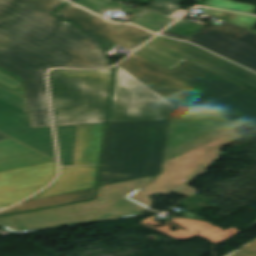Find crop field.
<instances>
[{
    "instance_id": "crop-field-19",
    "label": "crop field",
    "mask_w": 256,
    "mask_h": 256,
    "mask_svg": "<svg viewBox=\"0 0 256 256\" xmlns=\"http://www.w3.org/2000/svg\"><path fill=\"white\" fill-rule=\"evenodd\" d=\"M61 166L74 165L79 125L55 126Z\"/></svg>"
},
{
    "instance_id": "crop-field-18",
    "label": "crop field",
    "mask_w": 256,
    "mask_h": 256,
    "mask_svg": "<svg viewBox=\"0 0 256 256\" xmlns=\"http://www.w3.org/2000/svg\"><path fill=\"white\" fill-rule=\"evenodd\" d=\"M95 189L96 188L79 191V192L63 194V195H58V196H53V197H48V198H43V199L27 201V202H24V203L16 206V207H12L8 210L1 211L0 216L17 213V212H22V211H27V210H32V209H37V208L58 205V204L88 200V199L93 198Z\"/></svg>"
},
{
    "instance_id": "crop-field-27",
    "label": "crop field",
    "mask_w": 256,
    "mask_h": 256,
    "mask_svg": "<svg viewBox=\"0 0 256 256\" xmlns=\"http://www.w3.org/2000/svg\"><path fill=\"white\" fill-rule=\"evenodd\" d=\"M226 256H256V240L249 242L244 247L233 251Z\"/></svg>"
},
{
    "instance_id": "crop-field-5",
    "label": "crop field",
    "mask_w": 256,
    "mask_h": 256,
    "mask_svg": "<svg viewBox=\"0 0 256 256\" xmlns=\"http://www.w3.org/2000/svg\"><path fill=\"white\" fill-rule=\"evenodd\" d=\"M154 176L98 188L94 201L58 206L0 217V226L22 232L82 222L125 217L148 207L128 198L151 182Z\"/></svg>"
},
{
    "instance_id": "crop-field-12",
    "label": "crop field",
    "mask_w": 256,
    "mask_h": 256,
    "mask_svg": "<svg viewBox=\"0 0 256 256\" xmlns=\"http://www.w3.org/2000/svg\"><path fill=\"white\" fill-rule=\"evenodd\" d=\"M57 173L56 161L0 172V208L10 206L45 187Z\"/></svg>"
},
{
    "instance_id": "crop-field-26",
    "label": "crop field",
    "mask_w": 256,
    "mask_h": 256,
    "mask_svg": "<svg viewBox=\"0 0 256 256\" xmlns=\"http://www.w3.org/2000/svg\"><path fill=\"white\" fill-rule=\"evenodd\" d=\"M63 23H64L67 40L92 38L80 31H78V29H79L78 27H75V26L68 24L64 21H63Z\"/></svg>"
},
{
    "instance_id": "crop-field-4",
    "label": "crop field",
    "mask_w": 256,
    "mask_h": 256,
    "mask_svg": "<svg viewBox=\"0 0 256 256\" xmlns=\"http://www.w3.org/2000/svg\"><path fill=\"white\" fill-rule=\"evenodd\" d=\"M168 124H109L98 187L161 173Z\"/></svg>"
},
{
    "instance_id": "crop-field-2",
    "label": "crop field",
    "mask_w": 256,
    "mask_h": 256,
    "mask_svg": "<svg viewBox=\"0 0 256 256\" xmlns=\"http://www.w3.org/2000/svg\"><path fill=\"white\" fill-rule=\"evenodd\" d=\"M242 128L203 107L179 108L170 121L162 175L130 198L150 207L153 201L147 197L155 193L168 195L183 186L174 193L197 194L184 186L207 171L222 154L221 147L241 139L235 132Z\"/></svg>"
},
{
    "instance_id": "crop-field-21",
    "label": "crop field",
    "mask_w": 256,
    "mask_h": 256,
    "mask_svg": "<svg viewBox=\"0 0 256 256\" xmlns=\"http://www.w3.org/2000/svg\"><path fill=\"white\" fill-rule=\"evenodd\" d=\"M204 6L234 10L239 12L251 13L254 14L256 6L249 4L238 3L231 0H207L204 3Z\"/></svg>"
},
{
    "instance_id": "crop-field-6",
    "label": "crop field",
    "mask_w": 256,
    "mask_h": 256,
    "mask_svg": "<svg viewBox=\"0 0 256 256\" xmlns=\"http://www.w3.org/2000/svg\"><path fill=\"white\" fill-rule=\"evenodd\" d=\"M113 69L49 72L55 125L105 123Z\"/></svg>"
},
{
    "instance_id": "crop-field-23",
    "label": "crop field",
    "mask_w": 256,
    "mask_h": 256,
    "mask_svg": "<svg viewBox=\"0 0 256 256\" xmlns=\"http://www.w3.org/2000/svg\"><path fill=\"white\" fill-rule=\"evenodd\" d=\"M180 5L181 1L179 0H153L147 7L169 16L180 9Z\"/></svg>"
},
{
    "instance_id": "crop-field-25",
    "label": "crop field",
    "mask_w": 256,
    "mask_h": 256,
    "mask_svg": "<svg viewBox=\"0 0 256 256\" xmlns=\"http://www.w3.org/2000/svg\"><path fill=\"white\" fill-rule=\"evenodd\" d=\"M34 6H37L49 13L55 11L67 1L64 0H24Z\"/></svg>"
},
{
    "instance_id": "crop-field-9",
    "label": "crop field",
    "mask_w": 256,
    "mask_h": 256,
    "mask_svg": "<svg viewBox=\"0 0 256 256\" xmlns=\"http://www.w3.org/2000/svg\"><path fill=\"white\" fill-rule=\"evenodd\" d=\"M164 35L189 40L256 71V34L231 23L207 26L191 38L164 31Z\"/></svg>"
},
{
    "instance_id": "crop-field-1",
    "label": "crop field",
    "mask_w": 256,
    "mask_h": 256,
    "mask_svg": "<svg viewBox=\"0 0 256 256\" xmlns=\"http://www.w3.org/2000/svg\"><path fill=\"white\" fill-rule=\"evenodd\" d=\"M95 39L66 41L62 20L22 0H0V67L25 78L33 127L51 125L45 68H104Z\"/></svg>"
},
{
    "instance_id": "crop-field-8",
    "label": "crop field",
    "mask_w": 256,
    "mask_h": 256,
    "mask_svg": "<svg viewBox=\"0 0 256 256\" xmlns=\"http://www.w3.org/2000/svg\"><path fill=\"white\" fill-rule=\"evenodd\" d=\"M136 53L172 70L189 59L242 86L256 90V74L190 43L158 36Z\"/></svg>"
},
{
    "instance_id": "crop-field-13",
    "label": "crop field",
    "mask_w": 256,
    "mask_h": 256,
    "mask_svg": "<svg viewBox=\"0 0 256 256\" xmlns=\"http://www.w3.org/2000/svg\"><path fill=\"white\" fill-rule=\"evenodd\" d=\"M153 218H156V217L150 216L138 223L141 225L153 228L155 230H158L160 232H163L177 240H188V239L198 236V237H202L204 239L210 240L213 244L216 245L217 243L225 240L226 238H228V237L234 235L235 233H237L238 231H240L234 226H232L226 230H223V229L216 227L210 223H206V222H202V221H198V220L181 219L179 217L172 219L171 221H169L167 223L175 222L179 226L187 229L188 231L180 228L179 226H177L175 224H171L172 226L179 228L176 231H172V230H170V225L159 227V228L150 226V225H154V226L162 225V224L152 220ZM146 224H149V225H146Z\"/></svg>"
},
{
    "instance_id": "crop-field-3",
    "label": "crop field",
    "mask_w": 256,
    "mask_h": 256,
    "mask_svg": "<svg viewBox=\"0 0 256 256\" xmlns=\"http://www.w3.org/2000/svg\"><path fill=\"white\" fill-rule=\"evenodd\" d=\"M119 65L176 106L202 105L256 129V93L189 60L169 71L134 53Z\"/></svg>"
},
{
    "instance_id": "crop-field-16",
    "label": "crop field",
    "mask_w": 256,
    "mask_h": 256,
    "mask_svg": "<svg viewBox=\"0 0 256 256\" xmlns=\"http://www.w3.org/2000/svg\"><path fill=\"white\" fill-rule=\"evenodd\" d=\"M73 2L92 10L99 15H102L99 13L100 11H106L109 9L113 11L119 8L137 17L131 23L138 24L154 32H160L174 21L160 13L147 8L137 14L129 7L112 0H75Z\"/></svg>"
},
{
    "instance_id": "crop-field-24",
    "label": "crop field",
    "mask_w": 256,
    "mask_h": 256,
    "mask_svg": "<svg viewBox=\"0 0 256 256\" xmlns=\"http://www.w3.org/2000/svg\"><path fill=\"white\" fill-rule=\"evenodd\" d=\"M0 99L28 112L26 98L20 95H17L1 86H0Z\"/></svg>"
},
{
    "instance_id": "crop-field-7",
    "label": "crop field",
    "mask_w": 256,
    "mask_h": 256,
    "mask_svg": "<svg viewBox=\"0 0 256 256\" xmlns=\"http://www.w3.org/2000/svg\"><path fill=\"white\" fill-rule=\"evenodd\" d=\"M108 122L170 119L176 106L120 66Z\"/></svg>"
},
{
    "instance_id": "crop-field-22",
    "label": "crop field",
    "mask_w": 256,
    "mask_h": 256,
    "mask_svg": "<svg viewBox=\"0 0 256 256\" xmlns=\"http://www.w3.org/2000/svg\"><path fill=\"white\" fill-rule=\"evenodd\" d=\"M206 27L202 23H197L190 21L186 18L181 19L176 24L168 28L166 31H170L173 33L181 34L184 36L191 37L196 34L198 31Z\"/></svg>"
},
{
    "instance_id": "crop-field-29",
    "label": "crop field",
    "mask_w": 256,
    "mask_h": 256,
    "mask_svg": "<svg viewBox=\"0 0 256 256\" xmlns=\"http://www.w3.org/2000/svg\"><path fill=\"white\" fill-rule=\"evenodd\" d=\"M186 12H187V10L180 9L177 12H175L174 14H172L170 17L177 19L180 16H182L183 14H185Z\"/></svg>"
},
{
    "instance_id": "crop-field-28",
    "label": "crop field",
    "mask_w": 256,
    "mask_h": 256,
    "mask_svg": "<svg viewBox=\"0 0 256 256\" xmlns=\"http://www.w3.org/2000/svg\"><path fill=\"white\" fill-rule=\"evenodd\" d=\"M0 82H2V83H4V84H6V85H8V86L13 88V86L16 83V80H14V79H12V78H10V77L0 73Z\"/></svg>"
},
{
    "instance_id": "crop-field-15",
    "label": "crop field",
    "mask_w": 256,
    "mask_h": 256,
    "mask_svg": "<svg viewBox=\"0 0 256 256\" xmlns=\"http://www.w3.org/2000/svg\"><path fill=\"white\" fill-rule=\"evenodd\" d=\"M50 161L54 160L0 133V171Z\"/></svg>"
},
{
    "instance_id": "crop-field-20",
    "label": "crop field",
    "mask_w": 256,
    "mask_h": 256,
    "mask_svg": "<svg viewBox=\"0 0 256 256\" xmlns=\"http://www.w3.org/2000/svg\"><path fill=\"white\" fill-rule=\"evenodd\" d=\"M201 9H203L211 14H214L226 21H229L235 25H238L244 29H247L251 32L256 33V31L252 30L256 25V17L255 16L217 11V10L208 9V8H201Z\"/></svg>"
},
{
    "instance_id": "crop-field-10",
    "label": "crop field",
    "mask_w": 256,
    "mask_h": 256,
    "mask_svg": "<svg viewBox=\"0 0 256 256\" xmlns=\"http://www.w3.org/2000/svg\"><path fill=\"white\" fill-rule=\"evenodd\" d=\"M56 15L131 51L154 36V34L137 26L105 20L71 3L63 7Z\"/></svg>"
},
{
    "instance_id": "crop-field-17",
    "label": "crop field",
    "mask_w": 256,
    "mask_h": 256,
    "mask_svg": "<svg viewBox=\"0 0 256 256\" xmlns=\"http://www.w3.org/2000/svg\"><path fill=\"white\" fill-rule=\"evenodd\" d=\"M105 124L80 125L75 165L99 164Z\"/></svg>"
},
{
    "instance_id": "crop-field-11",
    "label": "crop field",
    "mask_w": 256,
    "mask_h": 256,
    "mask_svg": "<svg viewBox=\"0 0 256 256\" xmlns=\"http://www.w3.org/2000/svg\"><path fill=\"white\" fill-rule=\"evenodd\" d=\"M0 132L56 160L51 126L32 128L30 114L2 100Z\"/></svg>"
},
{
    "instance_id": "crop-field-14",
    "label": "crop field",
    "mask_w": 256,
    "mask_h": 256,
    "mask_svg": "<svg viewBox=\"0 0 256 256\" xmlns=\"http://www.w3.org/2000/svg\"><path fill=\"white\" fill-rule=\"evenodd\" d=\"M99 166L61 167V176L50 188L32 199L96 187ZM30 199V200H32Z\"/></svg>"
}]
</instances>
